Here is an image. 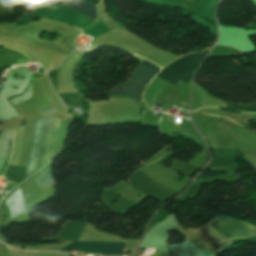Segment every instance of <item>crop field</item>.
<instances>
[{"label":"crop field","mask_w":256,"mask_h":256,"mask_svg":"<svg viewBox=\"0 0 256 256\" xmlns=\"http://www.w3.org/2000/svg\"><path fill=\"white\" fill-rule=\"evenodd\" d=\"M35 17H38L36 15H29V14H26V15H23L17 22H15L14 24H17V25H23V24H26L28 23L29 21H31L33 18ZM40 18V17H39Z\"/></svg>","instance_id":"5a996713"},{"label":"crop field","mask_w":256,"mask_h":256,"mask_svg":"<svg viewBox=\"0 0 256 256\" xmlns=\"http://www.w3.org/2000/svg\"><path fill=\"white\" fill-rule=\"evenodd\" d=\"M10 215L11 217H15L24 212L23 204L21 199L20 189L14 192L8 199Z\"/></svg>","instance_id":"e52e79f7"},{"label":"crop field","mask_w":256,"mask_h":256,"mask_svg":"<svg viewBox=\"0 0 256 256\" xmlns=\"http://www.w3.org/2000/svg\"><path fill=\"white\" fill-rule=\"evenodd\" d=\"M49 120H50V118H38V120H37V125H36V130H35V135H34V140H33V144H32V149H31V154H30V159H29L26 176L31 174L32 172H34L42 164L44 147H45L47 131H48V126H49ZM59 120H60V118H51V120H50L48 137H47L45 153H44V158H43V164L53 154L56 137H57V132H58ZM23 128L24 127L17 129V133H16V130L14 131L13 146H12L10 161H11V158L13 155L15 133H16V140H15V147H14V155H13L11 163L9 161V163L11 165H17V163H18Z\"/></svg>","instance_id":"8a807250"},{"label":"crop field","mask_w":256,"mask_h":256,"mask_svg":"<svg viewBox=\"0 0 256 256\" xmlns=\"http://www.w3.org/2000/svg\"><path fill=\"white\" fill-rule=\"evenodd\" d=\"M211 49V48H210ZM205 52L186 55L162 70L157 77L173 84H187L190 81L192 70L203 60Z\"/></svg>","instance_id":"34b2d1b8"},{"label":"crop field","mask_w":256,"mask_h":256,"mask_svg":"<svg viewBox=\"0 0 256 256\" xmlns=\"http://www.w3.org/2000/svg\"><path fill=\"white\" fill-rule=\"evenodd\" d=\"M110 29L107 28L104 24H102L99 20L90 26L86 27L84 30V34L92 36L94 39L106 32Z\"/></svg>","instance_id":"d8731c3e"},{"label":"crop field","mask_w":256,"mask_h":256,"mask_svg":"<svg viewBox=\"0 0 256 256\" xmlns=\"http://www.w3.org/2000/svg\"><path fill=\"white\" fill-rule=\"evenodd\" d=\"M64 6H67L79 13H82L94 20L97 19L96 9L93 0H54ZM52 0L42 3L33 14L40 15L47 19L59 20L70 23L80 29L85 28L94 20L79 14L67 7H64ZM82 31V30H81Z\"/></svg>","instance_id":"ac0d7876"},{"label":"crop field","mask_w":256,"mask_h":256,"mask_svg":"<svg viewBox=\"0 0 256 256\" xmlns=\"http://www.w3.org/2000/svg\"><path fill=\"white\" fill-rule=\"evenodd\" d=\"M228 241L256 236V228L245 223L216 217L210 222Z\"/></svg>","instance_id":"f4fd0767"},{"label":"crop field","mask_w":256,"mask_h":256,"mask_svg":"<svg viewBox=\"0 0 256 256\" xmlns=\"http://www.w3.org/2000/svg\"><path fill=\"white\" fill-rule=\"evenodd\" d=\"M229 106L237 108V109H241V110L256 111V104L255 105H242V107H237L230 103Z\"/></svg>","instance_id":"3316defc"},{"label":"crop field","mask_w":256,"mask_h":256,"mask_svg":"<svg viewBox=\"0 0 256 256\" xmlns=\"http://www.w3.org/2000/svg\"><path fill=\"white\" fill-rule=\"evenodd\" d=\"M71 249L94 255H122L124 243L68 242L61 251L69 253Z\"/></svg>","instance_id":"dd49c442"},{"label":"crop field","mask_w":256,"mask_h":256,"mask_svg":"<svg viewBox=\"0 0 256 256\" xmlns=\"http://www.w3.org/2000/svg\"><path fill=\"white\" fill-rule=\"evenodd\" d=\"M160 71V68L151 64L148 61H143L140 66L137 67L133 73L132 78L125 84H120L115 89L110 91L109 94H128L135 99L141 100V92L143 88L149 83V81Z\"/></svg>","instance_id":"412701ff"}]
</instances>
